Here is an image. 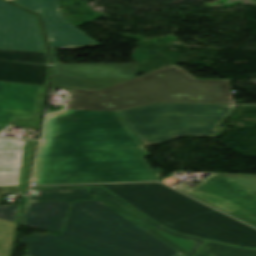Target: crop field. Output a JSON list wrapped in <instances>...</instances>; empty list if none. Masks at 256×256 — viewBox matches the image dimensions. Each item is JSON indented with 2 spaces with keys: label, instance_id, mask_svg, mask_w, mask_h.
<instances>
[{
  "label": "crop field",
  "instance_id": "8a807250",
  "mask_svg": "<svg viewBox=\"0 0 256 256\" xmlns=\"http://www.w3.org/2000/svg\"><path fill=\"white\" fill-rule=\"evenodd\" d=\"M157 102L235 104L228 80H197L170 65L102 91L71 90L46 115L32 181L39 185L159 181L161 169L116 111Z\"/></svg>",
  "mask_w": 256,
  "mask_h": 256
},
{
  "label": "crop field",
  "instance_id": "ac0d7876",
  "mask_svg": "<svg viewBox=\"0 0 256 256\" xmlns=\"http://www.w3.org/2000/svg\"><path fill=\"white\" fill-rule=\"evenodd\" d=\"M26 256H183L99 201H74L61 236L21 240Z\"/></svg>",
  "mask_w": 256,
  "mask_h": 256
},
{
  "label": "crop field",
  "instance_id": "34b2d1b8",
  "mask_svg": "<svg viewBox=\"0 0 256 256\" xmlns=\"http://www.w3.org/2000/svg\"><path fill=\"white\" fill-rule=\"evenodd\" d=\"M103 186L159 224L182 234L256 248V230L163 184ZM63 187V186H51Z\"/></svg>",
  "mask_w": 256,
  "mask_h": 256
},
{
  "label": "crop field",
  "instance_id": "412701ff",
  "mask_svg": "<svg viewBox=\"0 0 256 256\" xmlns=\"http://www.w3.org/2000/svg\"><path fill=\"white\" fill-rule=\"evenodd\" d=\"M233 110L234 105L157 103L118 113L146 146L182 135L215 136Z\"/></svg>",
  "mask_w": 256,
  "mask_h": 256
},
{
  "label": "crop field",
  "instance_id": "f4fd0767",
  "mask_svg": "<svg viewBox=\"0 0 256 256\" xmlns=\"http://www.w3.org/2000/svg\"><path fill=\"white\" fill-rule=\"evenodd\" d=\"M175 188L256 228V175L216 173Z\"/></svg>",
  "mask_w": 256,
  "mask_h": 256
},
{
  "label": "crop field",
  "instance_id": "dd49c442",
  "mask_svg": "<svg viewBox=\"0 0 256 256\" xmlns=\"http://www.w3.org/2000/svg\"><path fill=\"white\" fill-rule=\"evenodd\" d=\"M50 51L51 85L102 90L136 77L134 64H58L55 50Z\"/></svg>",
  "mask_w": 256,
  "mask_h": 256
},
{
  "label": "crop field",
  "instance_id": "e52e79f7",
  "mask_svg": "<svg viewBox=\"0 0 256 256\" xmlns=\"http://www.w3.org/2000/svg\"><path fill=\"white\" fill-rule=\"evenodd\" d=\"M45 88L0 83V134L7 126L36 128Z\"/></svg>",
  "mask_w": 256,
  "mask_h": 256
},
{
  "label": "crop field",
  "instance_id": "d8731c3e",
  "mask_svg": "<svg viewBox=\"0 0 256 256\" xmlns=\"http://www.w3.org/2000/svg\"><path fill=\"white\" fill-rule=\"evenodd\" d=\"M14 1L42 15L50 48L76 50L100 45L64 19L60 0Z\"/></svg>",
  "mask_w": 256,
  "mask_h": 256
},
{
  "label": "crop field",
  "instance_id": "5a996713",
  "mask_svg": "<svg viewBox=\"0 0 256 256\" xmlns=\"http://www.w3.org/2000/svg\"><path fill=\"white\" fill-rule=\"evenodd\" d=\"M0 48L45 51L36 16L0 0Z\"/></svg>",
  "mask_w": 256,
  "mask_h": 256
},
{
  "label": "crop field",
  "instance_id": "3316defc",
  "mask_svg": "<svg viewBox=\"0 0 256 256\" xmlns=\"http://www.w3.org/2000/svg\"><path fill=\"white\" fill-rule=\"evenodd\" d=\"M89 190L97 199H99V201L103 202L149 233L175 248L184 256H194L200 244L204 242L203 240L174 233L157 225L150 219L146 218L136 210L115 198L103 188H89Z\"/></svg>",
  "mask_w": 256,
  "mask_h": 256
},
{
  "label": "crop field",
  "instance_id": "28ad6ade",
  "mask_svg": "<svg viewBox=\"0 0 256 256\" xmlns=\"http://www.w3.org/2000/svg\"><path fill=\"white\" fill-rule=\"evenodd\" d=\"M33 141L0 138V186H22Z\"/></svg>",
  "mask_w": 256,
  "mask_h": 256
},
{
  "label": "crop field",
  "instance_id": "d1516ede",
  "mask_svg": "<svg viewBox=\"0 0 256 256\" xmlns=\"http://www.w3.org/2000/svg\"><path fill=\"white\" fill-rule=\"evenodd\" d=\"M70 204L68 201L25 204L20 224L46 232H60Z\"/></svg>",
  "mask_w": 256,
  "mask_h": 256
},
{
  "label": "crop field",
  "instance_id": "22f410ed",
  "mask_svg": "<svg viewBox=\"0 0 256 256\" xmlns=\"http://www.w3.org/2000/svg\"><path fill=\"white\" fill-rule=\"evenodd\" d=\"M48 66L0 62V81L45 85Z\"/></svg>",
  "mask_w": 256,
  "mask_h": 256
},
{
  "label": "crop field",
  "instance_id": "cbeb9de0",
  "mask_svg": "<svg viewBox=\"0 0 256 256\" xmlns=\"http://www.w3.org/2000/svg\"><path fill=\"white\" fill-rule=\"evenodd\" d=\"M94 199L86 188L37 190L36 197H27L26 203L57 200H87Z\"/></svg>",
  "mask_w": 256,
  "mask_h": 256
},
{
  "label": "crop field",
  "instance_id": "5142ce71",
  "mask_svg": "<svg viewBox=\"0 0 256 256\" xmlns=\"http://www.w3.org/2000/svg\"><path fill=\"white\" fill-rule=\"evenodd\" d=\"M197 256H256L255 249H243L207 241Z\"/></svg>",
  "mask_w": 256,
  "mask_h": 256
},
{
  "label": "crop field",
  "instance_id": "d9b57169",
  "mask_svg": "<svg viewBox=\"0 0 256 256\" xmlns=\"http://www.w3.org/2000/svg\"><path fill=\"white\" fill-rule=\"evenodd\" d=\"M0 60L48 64L46 52L0 49Z\"/></svg>",
  "mask_w": 256,
  "mask_h": 256
},
{
  "label": "crop field",
  "instance_id": "733c2abd",
  "mask_svg": "<svg viewBox=\"0 0 256 256\" xmlns=\"http://www.w3.org/2000/svg\"><path fill=\"white\" fill-rule=\"evenodd\" d=\"M17 224L0 220V256H10Z\"/></svg>",
  "mask_w": 256,
  "mask_h": 256
},
{
  "label": "crop field",
  "instance_id": "4a817a6b",
  "mask_svg": "<svg viewBox=\"0 0 256 256\" xmlns=\"http://www.w3.org/2000/svg\"><path fill=\"white\" fill-rule=\"evenodd\" d=\"M19 207L20 205L0 206V219L16 223Z\"/></svg>",
  "mask_w": 256,
  "mask_h": 256
},
{
  "label": "crop field",
  "instance_id": "bc2a9ffb",
  "mask_svg": "<svg viewBox=\"0 0 256 256\" xmlns=\"http://www.w3.org/2000/svg\"><path fill=\"white\" fill-rule=\"evenodd\" d=\"M163 182L169 184L170 186H173V185L179 183V182L175 179V177H173V176H171V177H169V178L163 180Z\"/></svg>",
  "mask_w": 256,
  "mask_h": 256
},
{
  "label": "crop field",
  "instance_id": "214f88e0",
  "mask_svg": "<svg viewBox=\"0 0 256 256\" xmlns=\"http://www.w3.org/2000/svg\"><path fill=\"white\" fill-rule=\"evenodd\" d=\"M2 188H3V187H0V194H1Z\"/></svg>",
  "mask_w": 256,
  "mask_h": 256
}]
</instances>
